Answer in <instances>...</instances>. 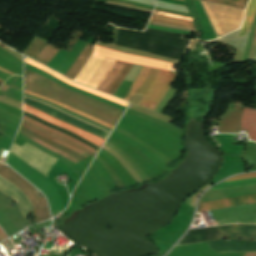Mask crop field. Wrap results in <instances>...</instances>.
<instances>
[{"mask_svg": "<svg viewBox=\"0 0 256 256\" xmlns=\"http://www.w3.org/2000/svg\"><path fill=\"white\" fill-rule=\"evenodd\" d=\"M25 89L45 97L55 99L63 104H66L86 114L96 117L113 126L115 125V123L120 117V115L115 114L106 109H103L88 101L68 95L26 73H25Z\"/></svg>", "mask_w": 256, "mask_h": 256, "instance_id": "8a807250", "label": "crop field"}, {"mask_svg": "<svg viewBox=\"0 0 256 256\" xmlns=\"http://www.w3.org/2000/svg\"><path fill=\"white\" fill-rule=\"evenodd\" d=\"M201 2L218 37L239 28L245 10L211 2Z\"/></svg>", "mask_w": 256, "mask_h": 256, "instance_id": "ac0d7876", "label": "crop field"}, {"mask_svg": "<svg viewBox=\"0 0 256 256\" xmlns=\"http://www.w3.org/2000/svg\"><path fill=\"white\" fill-rule=\"evenodd\" d=\"M174 75L171 72L152 68L147 79L137 91V93L144 95L139 105L153 110L166 92Z\"/></svg>", "mask_w": 256, "mask_h": 256, "instance_id": "34b2d1b8", "label": "crop field"}, {"mask_svg": "<svg viewBox=\"0 0 256 256\" xmlns=\"http://www.w3.org/2000/svg\"><path fill=\"white\" fill-rule=\"evenodd\" d=\"M253 177H256V173L231 177L225 181L244 179V178H253ZM252 183H256V178L222 182V183L212 187L211 189L222 188V187H235V186L247 185V184H252ZM253 202H256V194L215 200V201H209V202H203V203H199L197 212L214 210V209L225 208V207L247 204V203H253Z\"/></svg>", "mask_w": 256, "mask_h": 256, "instance_id": "412701ff", "label": "crop field"}, {"mask_svg": "<svg viewBox=\"0 0 256 256\" xmlns=\"http://www.w3.org/2000/svg\"><path fill=\"white\" fill-rule=\"evenodd\" d=\"M0 176L6 180L12 182L15 186L20 188L23 193L28 197L31 203L34 205V210L32 211L35 222L42 221L44 219L50 218L46 201L44 197H40L36 191L32 189L27 181L16 174L14 171L10 170L6 166L0 163ZM32 192H35L39 199H36Z\"/></svg>", "mask_w": 256, "mask_h": 256, "instance_id": "f4fd0767", "label": "crop field"}, {"mask_svg": "<svg viewBox=\"0 0 256 256\" xmlns=\"http://www.w3.org/2000/svg\"><path fill=\"white\" fill-rule=\"evenodd\" d=\"M115 63V60L99 57L93 55V57L90 59V61L87 63L85 68L82 70V72L79 74V76L76 78V82L85 84L89 82L95 71L97 72L94 74L90 82L88 83V86L96 89L99 82L102 80V78L107 74V72L110 70L112 65Z\"/></svg>", "mask_w": 256, "mask_h": 256, "instance_id": "dd49c442", "label": "crop field"}, {"mask_svg": "<svg viewBox=\"0 0 256 256\" xmlns=\"http://www.w3.org/2000/svg\"><path fill=\"white\" fill-rule=\"evenodd\" d=\"M96 55L104 56L107 58L128 62L132 64H138V65H145L149 67H154L158 69H163L169 71L172 64L167 63L160 60L150 59V58H144V57H138V56H132L128 54H124L121 52L109 50L106 48L99 47L95 45V53Z\"/></svg>", "mask_w": 256, "mask_h": 256, "instance_id": "e52e79f7", "label": "crop field"}, {"mask_svg": "<svg viewBox=\"0 0 256 256\" xmlns=\"http://www.w3.org/2000/svg\"><path fill=\"white\" fill-rule=\"evenodd\" d=\"M24 110L29 112V113H31V114H33V115H35V116H37V117H40V118H42V119L52 123L55 126L67 129V130H69V131H71V132H73V133H75V134H77V135L87 139L88 141L92 142L93 144H95V145H97L99 147L101 146V144L104 141V139H102V138H99V137L94 136L92 134H89V133H87L85 131H82V130H80V129H78V128L70 125V124L64 123V122H62V121H60V120H58V119H56V118L46 114V113H43V112H41V111H39V110H37V109H35L33 107L25 105V104H24Z\"/></svg>", "mask_w": 256, "mask_h": 256, "instance_id": "d8731c3e", "label": "crop field"}, {"mask_svg": "<svg viewBox=\"0 0 256 256\" xmlns=\"http://www.w3.org/2000/svg\"><path fill=\"white\" fill-rule=\"evenodd\" d=\"M222 237L256 240V225L229 224L217 226Z\"/></svg>", "mask_w": 256, "mask_h": 256, "instance_id": "5a996713", "label": "crop field"}, {"mask_svg": "<svg viewBox=\"0 0 256 256\" xmlns=\"http://www.w3.org/2000/svg\"><path fill=\"white\" fill-rule=\"evenodd\" d=\"M25 62L28 63V64H31V65H34V66H36V67H38V68H40V69H42L43 71L49 73L50 75H52V76H54V77H56V78H58V79H60V80H62V81H64V82H66V83H68V84H70V85H72V86H75V87H77V88H80V89H83V90H85V91L91 92V93H93V94L99 95V96H101V97L107 98V99H109V100H111V101H114V102H116V103H118V104H121V105L127 107V103H126V102L121 101V100H118V99L113 98V97H110V96H107V95H105V94H102V93H100V92H98V91H95V90H93V89H90V88H88V87L82 86V85H80V84L74 83V82H72V81L66 79L65 77H63V76L57 74L56 72L50 70L49 68H47V67H45V66H43V65H41V64H39V63H37V62H35V61H32V60H30V59L27 58V59L25 60Z\"/></svg>", "mask_w": 256, "mask_h": 256, "instance_id": "3316defc", "label": "crop field"}, {"mask_svg": "<svg viewBox=\"0 0 256 256\" xmlns=\"http://www.w3.org/2000/svg\"><path fill=\"white\" fill-rule=\"evenodd\" d=\"M240 129L247 130L249 138L256 141V109L244 107Z\"/></svg>", "mask_w": 256, "mask_h": 256, "instance_id": "28ad6ade", "label": "crop field"}, {"mask_svg": "<svg viewBox=\"0 0 256 256\" xmlns=\"http://www.w3.org/2000/svg\"><path fill=\"white\" fill-rule=\"evenodd\" d=\"M92 52H93V45L87 43L82 53L78 57L77 61L75 60L76 61L75 64L73 63L74 65L70 67L66 76L74 79L80 73L82 68L85 66Z\"/></svg>", "mask_w": 256, "mask_h": 256, "instance_id": "d1516ede", "label": "crop field"}, {"mask_svg": "<svg viewBox=\"0 0 256 256\" xmlns=\"http://www.w3.org/2000/svg\"><path fill=\"white\" fill-rule=\"evenodd\" d=\"M25 72L28 73V74H30V75H32V76H34V77H36V78H39V79L45 81V82H47V83H49V84H51V85H53V86H55V87H57V88L63 90V91H65V92L71 94V95H74V96H77V97H79V98L88 100V101H90V102H92V103H94V104H97V105H99V106H101V107H103V108H106V109H108V110H111V111H113V112H115V113H118V114H120V115L122 114V111H120V110H117V109H115V108H113V107H110V106H108V105H105V104H103V103H100V102H98V101H95V100H93V99L84 97V96H82V95L76 94V93H74V92H72V91H70V90H68V89H66V88H64V87H62V86H60V85H58V84H56V83H54V82H52V81H50V80L44 78V77H42V76H40V75H37V74H35V73H33V72L27 70V69H25Z\"/></svg>", "mask_w": 256, "mask_h": 256, "instance_id": "22f410ed", "label": "crop field"}, {"mask_svg": "<svg viewBox=\"0 0 256 256\" xmlns=\"http://www.w3.org/2000/svg\"><path fill=\"white\" fill-rule=\"evenodd\" d=\"M151 68L143 66L139 75L137 76L136 80L132 84V86L129 88V90L125 93L123 96V99L127 100L130 102L132 99L134 93L136 90L140 87V85L143 83L145 80L146 76L148 75L149 71Z\"/></svg>", "mask_w": 256, "mask_h": 256, "instance_id": "cbeb9de0", "label": "crop field"}, {"mask_svg": "<svg viewBox=\"0 0 256 256\" xmlns=\"http://www.w3.org/2000/svg\"><path fill=\"white\" fill-rule=\"evenodd\" d=\"M132 66H133L132 64L125 63L124 67L116 76V78L113 80L112 84L108 87L105 93L113 95L114 92L118 89V87L121 85V83L125 79L126 75L128 74Z\"/></svg>", "mask_w": 256, "mask_h": 256, "instance_id": "5142ce71", "label": "crop field"}, {"mask_svg": "<svg viewBox=\"0 0 256 256\" xmlns=\"http://www.w3.org/2000/svg\"><path fill=\"white\" fill-rule=\"evenodd\" d=\"M255 11H256V0H251L246 11L240 36H244L246 34L247 29L251 28Z\"/></svg>", "mask_w": 256, "mask_h": 256, "instance_id": "d9b57169", "label": "crop field"}, {"mask_svg": "<svg viewBox=\"0 0 256 256\" xmlns=\"http://www.w3.org/2000/svg\"><path fill=\"white\" fill-rule=\"evenodd\" d=\"M124 63L116 61L114 66L111 68L109 73L106 75V77L103 79V81L100 83V85L97 87V90H100L102 92L105 91V89L109 86V84L112 82V80L115 78V76L118 74V72L123 67ZM114 68V71L112 69Z\"/></svg>", "mask_w": 256, "mask_h": 256, "instance_id": "733c2abd", "label": "crop field"}, {"mask_svg": "<svg viewBox=\"0 0 256 256\" xmlns=\"http://www.w3.org/2000/svg\"><path fill=\"white\" fill-rule=\"evenodd\" d=\"M24 96H25V97H28V98H31V99H34V100H37V101H40V102H43V103H46V104H48V105H50V106H52V107H54V108H56V109H58V110H61V111L65 112V113H67V114H69V115H71V116H73V117H75V118H78V119H80V120H83V121H85V122H87V123H89V124H91V125H94V126L100 128V129H102V130H105V131H107V132H109V133H110V131H111V130H109V129H107V128H105V127H103V126H101V125H99V124H97V123H94V122H92V121H90V120H88V119H85V118H83V117H81V116H79V115H76V114H74V113H71V112H69V111H67V110H65V109H63V108H61V107H59V106H57V105H55V104H52V103H50V102H48V101H45V100H42V99H39V98H35V97H32V96H27V95H24Z\"/></svg>", "mask_w": 256, "mask_h": 256, "instance_id": "4a817a6b", "label": "crop field"}, {"mask_svg": "<svg viewBox=\"0 0 256 256\" xmlns=\"http://www.w3.org/2000/svg\"><path fill=\"white\" fill-rule=\"evenodd\" d=\"M24 93H25V94H29V95H33V96H36V97H39V98H42V99H45V100H48V101H50V102H52V103H55V104H57V105H59V106L65 108V109H67V110H70V111H72V112H74V113H77V114H79V115H82V116H84V117H87V118H89V119H91V120H93V121H95V122H97V123H99V124H101V125H104V126L110 128V129L113 128V126H111V125H109V124H107V123H104V122H102V121H100V120H98V119H96V118H93V117H91V116H89V115H86V114H84V113H82V112H79V111H77V110H75V109H73V108H70V107H68V106H66V105H63V104H61V103H59V102H57V101H55V100H52V99H49V98H45V97L36 95V94L31 93V92H28V91H26V90H25Z\"/></svg>", "mask_w": 256, "mask_h": 256, "instance_id": "bc2a9ffb", "label": "crop field"}, {"mask_svg": "<svg viewBox=\"0 0 256 256\" xmlns=\"http://www.w3.org/2000/svg\"><path fill=\"white\" fill-rule=\"evenodd\" d=\"M48 42L39 38H35L33 42L30 44L28 49L25 51V54L29 55L32 58H36V56L41 52V50L45 47ZM24 54V55H25ZM26 55V56H27Z\"/></svg>", "mask_w": 256, "mask_h": 256, "instance_id": "214f88e0", "label": "crop field"}, {"mask_svg": "<svg viewBox=\"0 0 256 256\" xmlns=\"http://www.w3.org/2000/svg\"><path fill=\"white\" fill-rule=\"evenodd\" d=\"M151 20L166 23V24L180 25V26H187V27H193L194 28L193 22L173 19V18L159 16V15H155V14L152 15Z\"/></svg>", "mask_w": 256, "mask_h": 256, "instance_id": "92a150f3", "label": "crop field"}, {"mask_svg": "<svg viewBox=\"0 0 256 256\" xmlns=\"http://www.w3.org/2000/svg\"><path fill=\"white\" fill-rule=\"evenodd\" d=\"M20 129L23 130V131H25V132H27V133H29V134H31V135H33L34 137H36V138H38V139H40V140H42V141H44V142H46V143H48V144H50V145H52V146L58 148V149H61V150L65 151V152H67V153L72 154L73 156H75L76 158H78V159H80V160H82V161L85 159V157L81 156L80 154H78V153H76V152H74V151H72V150H70V149H68V148H65V147H63V146H60V145H58V144H56V143H54V142H52V141H50V140H48V139H45V138L39 136L38 134H36V133H34V132H32V131H30V130H28V129L22 127V126H21Z\"/></svg>", "mask_w": 256, "mask_h": 256, "instance_id": "dafd665d", "label": "crop field"}, {"mask_svg": "<svg viewBox=\"0 0 256 256\" xmlns=\"http://www.w3.org/2000/svg\"><path fill=\"white\" fill-rule=\"evenodd\" d=\"M57 51L58 49L47 45L35 60L46 65L52 59V57L56 54Z\"/></svg>", "mask_w": 256, "mask_h": 256, "instance_id": "00972430", "label": "crop field"}, {"mask_svg": "<svg viewBox=\"0 0 256 256\" xmlns=\"http://www.w3.org/2000/svg\"><path fill=\"white\" fill-rule=\"evenodd\" d=\"M24 119L28 120L29 122H31V123H33V124H35V125H37V126H39V127H41V128L47 129V130H49V131H51V132H54V133H56V134H58V135H61V136L65 137V138H67V139H69V140H71V141H73V142H75V143H77V144H79V145H82V146H84V147L90 149V150H91L92 152H94L95 154H96V152H97V151L91 149L90 147L84 145L83 143H81V142H79V141L73 139L72 137H70V136H68V135H66V134H64V133H62V132H60V131H57V130L52 129V128H49V127H47V126H45V125H43V124H41V123H39V122H36V121H34V120L30 119V118L25 117V116H24Z\"/></svg>", "mask_w": 256, "mask_h": 256, "instance_id": "a9b5d70f", "label": "crop field"}, {"mask_svg": "<svg viewBox=\"0 0 256 256\" xmlns=\"http://www.w3.org/2000/svg\"><path fill=\"white\" fill-rule=\"evenodd\" d=\"M19 133H21V134H23V135H25V136H27V137H29V138L32 137V136L28 135L27 133H25V132H23V131H21V130L19 131ZM31 139L34 140V141H36V142H38L39 144H41V145H43V146L49 148V149H51V150L57 152V153H59V154L65 156L66 158H68L69 160H71L72 162H74L75 164L80 161V160H78V159L72 157L71 155H69V154H67V153H65V152H63V151H61V150H58V149H56V148H54V147H52V146H49L48 144H46V143H44V142H42V141H40V140H38V139H36V138H34V137L31 138Z\"/></svg>", "mask_w": 256, "mask_h": 256, "instance_id": "4177f3b9", "label": "crop field"}, {"mask_svg": "<svg viewBox=\"0 0 256 256\" xmlns=\"http://www.w3.org/2000/svg\"><path fill=\"white\" fill-rule=\"evenodd\" d=\"M23 122L29 124L30 126L36 128V129H38V130L43 131V132H45V133H47V134H49V135H51V136H54V137H56V138H58V139H60V140H62V141H65V142H67V143H69V144H71V145H74V146L80 148L81 150H83V151L89 153V154H90L91 156H93V157H94V155H95V154L92 153L91 151H89V150H87V149H85V148H83V147H81V146H79V145H77V144H75V143H73V142H71V141H69V140L63 138V137H61V136H58V135H56V134H54V133H51V132H49V131H47V130H43V129H41V128H39V127H37V126H35V125L29 123V122L26 121V120H23Z\"/></svg>", "mask_w": 256, "mask_h": 256, "instance_id": "730fd06b", "label": "crop field"}, {"mask_svg": "<svg viewBox=\"0 0 256 256\" xmlns=\"http://www.w3.org/2000/svg\"><path fill=\"white\" fill-rule=\"evenodd\" d=\"M207 1L226 4V5L239 7V8H243V9H245L246 4H247V1H243V0H207Z\"/></svg>", "mask_w": 256, "mask_h": 256, "instance_id": "eef30255", "label": "crop field"}, {"mask_svg": "<svg viewBox=\"0 0 256 256\" xmlns=\"http://www.w3.org/2000/svg\"><path fill=\"white\" fill-rule=\"evenodd\" d=\"M142 66H138V65H134V67L132 68V70L130 71V73L128 74V76L126 77V80H129L131 82H133V80L135 79V77L138 75L140 69Z\"/></svg>", "mask_w": 256, "mask_h": 256, "instance_id": "ae1a2a85", "label": "crop field"}, {"mask_svg": "<svg viewBox=\"0 0 256 256\" xmlns=\"http://www.w3.org/2000/svg\"><path fill=\"white\" fill-rule=\"evenodd\" d=\"M52 141H54V142H56V143H58V144H60V145L66 146V147H68V148H71V149L77 151L78 153H80V154H82V155H84V156H86V157L88 156V155L85 154L83 151H81V150H79V149H77V148H75V147H73V146H71V145H69V144H67V143H64V142H62V141H60V140H57V139H55V138H52Z\"/></svg>", "mask_w": 256, "mask_h": 256, "instance_id": "d3111659", "label": "crop field"}, {"mask_svg": "<svg viewBox=\"0 0 256 256\" xmlns=\"http://www.w3.org/2000/svg\"><path fill=\"white\" fill-rule=\"evenodd\" d=\"M155 14H159V15H164V16H169V17H173V18H178V19H184V20H190L192 21V18L190 17H185V16H179V15H174V14H167V13H162L159 11H154Z\"/></svg>", "mask_w": 256, "mask_h": 256, "instance_id": "750c4746", "label": "crop field"}, {"mask_svg": "<svg viewBox=\"0 0 256 256\" xmlns=\"http://www.w3.org/2000/svg\"><path fill=\"white\" fill-rule=\"evenodd\" d=\"M147 27H149V28H154V29H159V30L170 31V32L182 33V34H187V35H189V34H190V32H188V31H181V30L166 29V28L155 27V26H150V25H147Z\"/></svg>", "mask_w": 256, "mask_h": 256, "instance_id": "bd1437ed", "label": "crop field"}, {"mask_svg": "<svg viewBox=\"0 0 256 256\" xmlns=\"http://www.w3.org/2000/svg\"><path fill=\"white\" fill-rule=\"evenodd\" d=\"M22 125L25 126V127H27V128H29V129H31V130H33V131H35L36 133H38V134H40V135H42V136H44V137H46V138H48V139H51L50 136H48V135H46V134H44V133H42V132H40V131H37L36 129L30 127L29 125H27V124H25V123H22Z\"/></svg>", "mask_w": 256, "mask_h": 256, "instance_id": "1d83c4d3", "label": "crop field"}, {"mask_svg": "<svg viewBox=\"0 0 256 256\" xmlns=\"http://www.w3.org/2000/svg\"><path fill=\"white\" fill-rule=\"evenodd\" d=\"M5 238H7V237L5 236V234L0 229V241L4 240Z\"/></svg>", "mask_w": 256, "mask_h": 256, "instance_id": "120bbe31", "label": "crop field"}, {"mask_svg": "<svg viewBox=\"0 0 256 256\" xmlns=\"http://www.w3.org/2000/svg\"><path fill=\"white\" fill-rule=\"evenodd\" d=\"M0 71H3V72H5V73H7V74H10V75H14L13 73H11V72H9V71L3 69V68H0Z\"/></svg>", "mask_w": 256, "mask_h": 256, "instance_id": "d32e631a", "label": "crop field"}, {"mask_svg": "<svg viewBox=\"0 0 256 256\" xmlns=\"http://www.w3.org/2000/svg\"><path fill=\"white\" fill-rule=\"evenodd\" d=\"M245 256H256V253H252V254H245Z\"/></svg>", "mask_w": 256, "mask_h": 256, "instance_id": "5866460e", "label": "crop field"}, {"mask_svg": "<svg viewBox=\"0 0 256 256\" xmlns=\"http://www.w3.org/2000/svg\"><path fill=\"white\" fill-rule=\"evenodd\" d=\"M0 82L4 83V80L0 79Z\"/></svg>", "mask_w": 256, "mask_h": 256, "instance_id": "028f5c9d", "label": "crop field"}, {"mask_svg": "<svg viewBox=\"0 0 256 256\" xmlns=\"http://www.w3.org/2000/svg\"><path fill=\"white\" fill-rule=\"evenodd\" d=\"M0 46H2V47H3V46H5V45H3V44H1V43H0ZM2 47H1V48H2Z\"/></svg>", "mask_w": 256, "mask_h": 256, "instance_id": "e1f06a70", "label": "crop field"}, {"mask_svg": "<svg viewBox=\"0 0 256 256\" xmlns=\"http://www.w3.org/2000/svg\"><path fill=\"white\" fill-rule=\"evenodd\" d=\"M2 85V83H0V86Z\"/></svg>", "mask_w": 256, "mask_h": 256, "instance_id": "0bd39190", "label": "crop field"}, {"mask_svg": "<svg viewBox=\"0 0 256 256\" xmlns=\"http://www.w3.org/2000/svg\"><path fill=\"white\" fill-rule=\"evenodd\" d=\"M248 1V0H247Z\"/></svg>", "mask_w": 256, "mask_h": 256, "instance_id": "b80d0937", "label": "crop field"}]
</instances>
